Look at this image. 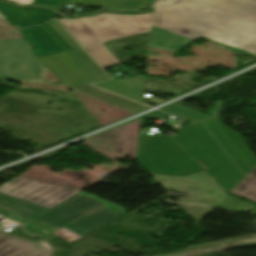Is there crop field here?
<instances>
[{"instance_id":"obj_1","label":"crop field","mask_w":256,"mask_h":256,"mask_svg":"<svg viewBox=\"0 0 256 256\" xmlns=\"http://www.w3.org/2000/svg\"><path fill=\"white\" fill-rule=\"evenodd\" d=\"M150 46L177 52L200 37L256 55V1L156 0Z\"/></svg>"},{"instance_id":"obj_2","label":"crop field","mask_w":256,"mask_h":256,"mask_svg":"<svg viewBox=\"0 0 256 256\" xmlns=\"http://www.w3.org/2000/svg\"><path fill=\"white\" fill-rule=\"evenodd\" d=\"M0 207L16 212L49 231L65 226L86 236L124 216L123 208L81 192L49 209L0 193Z\"/></svg>"},{"instance_id":"obj_3","label":"crop field","mask_w":256,"mask_h":256,"mask_svg":"<svg viewBox=\"0 0 256 256\" xmlns=\"http://www.w3.org/2000/svg\"><path fill=\"white\" fill-rule=\"evenodd\" d=\"M154 12L131 15L102 13L59 21L104 68L120 64L102 42L152 31Z\"/></svg>"},{"instance_id":"obj_4","label":"crop field","mask_w":256,"mask_h":256,"mask_svg":"<svg viewBox=\"0 0 256 256\" xmlns=\"http://www.w3.org/2000/svg\"><path fill=\"white\" fill-rule=\"evenodd\" d=\"M173 138L231 191L246 177L229 159L202 122L179 129Z\"/></svg>"},{"instance_id":"obj_5","label":"crop field","mask_w":256,"mask_h":256,"mask_svg":"<svg viewBox=\"0 0 256 256\" xmlns=\"http://www.w3.org/2000/svg\"><path fill=\"white\" fill-rule=\"evenodd\" d=\"M45 65L31 44L0 19V78L44 84Z\"/></svg>"},{"instance_id":"obj_6","label":"crop field","mask_w":256,"mask_h":256,"mask_svg":"<svg viewBox=\"0 0 256 256\" xmlns=\"http://www.w3.org/2000/svg\"><path fill=\"white\" fill-rule=\"evenodd\" d=\"M137 160L152 173L183 176L204 170L170 136L140 135Z\"/></svg>"},{"instance_id":"obj_7","label":"crop field","mask_w":256,"mask_h":256,"mask_svg":"<svg viewBox=\"0 0 256 256\" xmlns=\"http://www.w3.org/2000/svg\"><path fill=\"white\" fill-rule=\"evenodd\" d=\"M73 58V57H72ZM67 53H59L39 59L70 90L85 94L101 101L138 113L149 107L99 90L91 86L94 81Z\"/></svg>"},{"instance_id":"obj_8","label":"crop field","mask_w":256,"mask_h":256,"mask_svg":"<svg viewBox=\"0 0 256 256\" xmlns=\"http://www.w3.org/2000/svg\"><path fill=\"white\" fill-rule=\"evenodd\" d=\"M0 191L17 198L28 199L49 208L80 192L57 185L38 182L23 176L1 187Z\"/></svg>"},{"instance_id":"obj_9","label":"crop field","mask_w":256,"mask_h":256,"mask_svg":"<svg viewBox=\"0 0 256 256\" xmlns=\"http://www.w3.org/2000/svg\"><path fill=\"white\" fill-rule=\"evenodd\" d=\"M204 122L238 166L249 174L256 167V158L238 135L225 127L219 117Z\"/></svg>"},{"instance_id":"obj_10","label":"crop field","mask_w":256,"mask_h":256,"mask_svg":"<svg viewBox=\"0 0 256 256\" xmlns=\"http://www.w3.org/2000/svg\"><path fill=\"white\" fill-rule=\"evenodd\" d=\"M0 12L16 28L37 25L57 15L55 11L48 9L14 7L2 2H0Z\"/></svg>"},{"instance_id":"obj_11","label":"crop field","mask_w":256,"mask_h":256,"mask_svg":"<svg viewBox=\"0 0 256 256\" xmlns=\"http://www.w3.org/2000/svg\"><path fill=\"white\" fill-rule=\"evenodd\" d=\"M18 32L35 47L33 53L37 57L65 51L42 25L19 30Z\"/></svg>"},{"instance_id":"obj_12","label":"crop field","mask_w":256,"mask_h":256,"mask_svg":"<svg viewBox=\"0 0 256 256\" xmlns=\"http://www.w3.org/2000/svg\"><path fill=\"white\" fill-rule=\"evenodd\" d=\"M40 248L36 243L0 232V256H28Z\"/></svg>"},{"instance_id":"obj_13","label":"crop field","mask_w":256,"mask_h":256,"mask_svg":"<svg viewBox=\"0 0 256 256\" xmlns=\"http://www.w3.org/2000/svg\"><path fill=\"white\" fill-rule=\"evenodd\" d=\"M149 2L150 0H70L69 4L137 11L145 9Z\"/></svg>"},{"instance_id":"obj_14","label":"crop field","mask_w":256,"mask_h":256,"mask_svg":"<svg viewBox=\"0 0 256 256\" xmlns=\"http://www.w3.org/2000/svg\"><path fill=\"white\" fill-rule=\"evenodd\" d=\"M99 84L115 88L143 99L144 78L118 79Z\"/></svg>"},{"instance_id":"obj_15","label":"crop field","mask_w":256,"mask_h":256,"mask_svg":"<svg viewBox=\"0 0 256 256\" xmlns=\"http://www.w3.org/2000/svg\"><path fill=\"white\" fill-rule=\"evenodd\" d=\"M69 53L83 66L96 82L110 78L82 48L69 51Z\"/></svg>"},{"instance_id":"obj_16","label":"crop field","mask_w":256,"mask_h":256,"mask_svg":"<svg viewBox=\"0 0 256 256\" xmlns=\"http://www.w3.org/2000/svg\"><path fill=\"white\" fill-rule=\"evenodd\" d=\"M232 193L247 197L256 202V178L248 175Z\"/></svg>"},{"instance_id":"obj_17","label":"crop field","mask_w":256,"mask_h":256,"mask_svg":"<svg viewBox=\"0 0 256 256\" xmlns=\"http://www.w3.org/2000/svg\"><path fill=\"white\" fill-rule=\"evenodd\" d=\"M73 49L79 48L80 46L75 40L63 29V27L57 22L49 24Z\"/></svg>"},{"instance_id":"obj_18","label":"crop field","mask_w":256,"mask_h":256,"mask_svg":"<svg viewBox=\"0 0 256 256\" xmlns=\"http://www.w3.org/2000/svg\"><path fill=\"white\" fill-rule=\"evenodd\" d=\"M67 1L68 0H34L32 5H41L62 9L63 5H65Z\"/></svg>"},{"instance_id":"obj_19","label":"crop field","mask_w":256,"mask_h":256,"mask_svg":"<svg viewBox=\"0 0 256 256\" xmlns=\"http://www.w3.org/2000/svg\"><path fill=\"white\" fill-rule=\"evenodd\" d=\"M55 234L61 236L62 238L66 239L67 241L71 242L70 240H78L82 238L81 236L77 235L76 233L72 232L67 228H62L59 231L54 232ZM72 243V242H71Z\"/></svg>"},{"instance_id":"obj_20","label":"crop field","mask_w":256,"mask_h":256,"mask_svg":"<svg viewBox=\"0 0 256 256\" xmlns=\"http://www.w3.org/2000/svg\"><path fill=\"white\" fill-rule=\"evenodd\" d=\"M166 108H169V109H171V110L180 112V113H182V114H185V115L194 117V118L199 119V120H202V119H204V118H207V117H205V116H202V115H200V114L194 113V112H192V111H189V110H187V109L181 108V107L176 106V105H173V104L170 105V106H168V107H166Z\"/></svg>"},{"instance_id":"obj_21","label":"crop field","mask_w":256,"mask_h":256,"mask_svg":"<svg viewBox=\"0 0 256 256\" xmlns=\"http://www.w3.org/2000/svg\"><path fill=\"white\" fill-rule=\"evenodd\" d=\"M48 31L60 42V44L67 50H72V48L48 25H44Z\"/></svg>"},{"instance_id":"obj_22","label":"crop field","mask_w":256,"mask_h":256,"mask_svg":"<svg viewBox=\"0 0 256 256\" xmlns=\"http://www.w3.org/2000/svg\"><path fill=\"white\" fill-rule=\"evenodd\" d=\"M168 115H169V114L156 111V112L151 113V114H149V115H146V116H144V117L152 118V119H159V118H165V117H167Z\"/></svg>"},{"instance_id":"obj_23","label":"crop field","mask_w":256,"mask_h":256,"mask_svg":"<svg viewBox=\"0 0 256 256\" xmlns=\"http://www.w3.org/2000/svg\"><path fill=\"white\" fill-rule=\"evenodd\" d=\"M95 85H96V86H100V87H102V88L108 89V90H110V91L116 92V93H118V94H121V95H123V96H126V97H128V98H131V99H133V100H136V101H139V102H142V103H143L142 100L137 99V98H135V97H132V96H130V95L124 94V93H122V92L116 91V90H114V89H111V88H108V87H105V86H101V85H98V84H95Z\"/></svg>"},{"instance_id":"obj_24","label":"crop field","mask_w":256,"mask_h":256,"mask_svg":"<svg viewBox=\"0 0 256 256\" xmlns=\"http://www.w3.org/2000/svg\"><path fill=\"white\" fill-rule=\"evenodd\" d=\"M30 256H52L50 253H48L44 247L35 253L31 254Z\"/></svg>"},{"instance_id":"obj_25","label":"crop field","mask_w":256,"mask_h":256,"mask_svg":"<svg viewBox=\"0 0 256 256\" xmlns=\"http://www.w3.org/2000/svg\"><path fill=\"white\" fill-rule=\"evenodd\" d=\"M161 110H164V111H167V112H169V113H172V114H175V115H178V116L184 117V118L189 119V120H192V121H196V120H195V119H193V118H190V117L184 116V115H182V114H179V113H176V112L170 111V110L165 109V108H163V109H161Z\"/></svg>"},{"instance_id":"obj_26","label":"crop field","mask_w":256,"mask_h":256,"mask_svg":"<svg viewBox=\"0 0 256 256\" xmlns=\"http://www.w3.org/2000/svg\"><path fill=\"white\" fill-rule=\"evenodd\" d=\"M19 4H31L33 0H12Z\"/></svg>"},{"instance_id":"obj_27","label":"crop field","mask_w":256,"mask_h":256,"mask_svg":"<svg viewBox=\"0 0 256 256\" xmlns=\"http://www.w3.org/2000/svg\"><path fill=\"white\" fill-rule=\"evenodd\" d=\"M40 243L46 248L47 251L53 253L50 249H52L46 242L40 241Z\"/></svg>"},{"instance_id":"obj_28","label":"crop field","mask_w":256,"mask_h":256,"mask_svg":"<svg viewBox=\"0 0 256 256\" xmlns=\"http://www.w3.org/2000/svg\"><path fill=\"white\" fill-rule=\"evenodd\" d=\"M250 175H253L256 177V168L250 173Z\"/></svg>"}]
</instances>
